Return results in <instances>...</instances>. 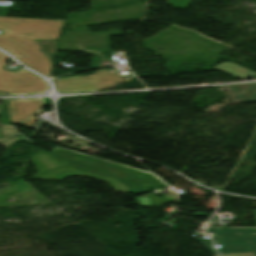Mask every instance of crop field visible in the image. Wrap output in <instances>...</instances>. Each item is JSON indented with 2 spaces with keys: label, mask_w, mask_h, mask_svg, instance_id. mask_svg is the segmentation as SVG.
Segmentation results:
<instances>
[{
  "label": "crop field",
  "mask_w": 256,
  "mask_h": 256,
  "mask_svg": "<svg viewBox=\"0 0 256 256\" xmlns=\"http://www.w3.org/2000/svg\"><path fill=\"white\" fill-rule=\"evenodd\" d=\"M231 87L239 103L256 102V83Z\"/></svg>",
  "instance_id": "obj_9"
},
{
  "label": "crop field",
  "mask_w": 256,
  "mask_h": 256,
  "mask_svg": "<svg viewBox=\"0 0 256 256\" xmlns=\"http://www.w3.org/2000/svg\"><path fill=\"white\" fill-rule=\"evenodd\" d=\"M55 87L60 93L95 91L115 88L116 84L124 83L116 73H110L109 69L100 70L93 75L55 80Z\"/></svg>",
  "instance_id": "obj_6"
},
{
  "label": "crop field",
  "mask_w": 256,
  "mask_h": 256,
  "mask_svg": "<svg viewBox=\"0 0 256 256\" xmlns=\"http://www.w3.org/2000/svg\"><path fill=\"white\" fill-rule=\"evenodd\" d=\"M9 58L0 52V91L10 94L21 89H29L48 84L47 81L22 68V70L16 73L2 70ZM48 89L49 85H46L13 94H40L46 93Z\"/></svg>",
  "instance_id": "obj_5"
},
{
  "label": "crop field",
  "mask_w": 256,
  "mask_h": 256,
  "mask_svg": "<svg viewBox=\"0 0 256 256\" xmlns=\"http://www.w3.org/2000/svg\"><path fill=\"white\" fill-rule=\"evenodd\" d=\"M3 117L0 119L1 123L10 124L6 119V100H1V115Z\"/></svg>",
  "instance_id": "obj_16"
},
{
  "label": "crop field",
  "mask_w": 256,
  "mask_h": 256,
  "mask_svg": "<svg viewBox=\"0 0 256 256\" xmlns=\"http://www.w3.org/2000/svg\"><path fill=\"white\" fill-rule=\"evenodd\" d=\"M173 198H175V200H173ZM136 199L141 206L161 207L164 203L176 202V195H163V197H158L154 194H150L143 197H137Z\"/></svg>",
  "instance_id": "obj_11"
},
{
  "label": "crop field",
  "mask_w": 256,
  "mask_h": 256,
  "mask_svg": "<svg viewBox=\"0 0 256 256\" xmlns=\"http://www.w3.org/2000/svg\"><path fill=\"white\" fill-rule=\"evenodd\" d=\"M60 32L61 30L16 36L0 35V48L48 78L52 64L45 60L44 53L37 50V40L59 39Z\"/></svg>",
  "instance_id": "obj_2"
},
{
  "label": "crop field",
  "mask_w": 256,
  "mask_h": 256,
  "mask_svg": "<svg viewBox=\"0 0 256 256\" xmlns=\"http://www.w3.org/2000/svg\"><path fill=\"white\" fill-rule=\"evenodd\" d=\"M201 245H203L212 255L218 256L217 252L212 248V241L204 238L193 237Z\"/></svg>",
  "instance_id": "obj_15"
},
{
  "label": "crop field",
  "mask_w": 256,
  "mask_h": 256,
  "mask_svg": "<svg viewBox=\"0 0 256 256\" xmlns=\"http://www.w3.org/2000/svg\"><path fill=\"white\" fill-rule=\"evenodd\" d=\"M3 127H12L11 125L2 124Z\"/></svg>",
  "instance_id": "obj_21"
},
{
  "label": "crop field",
  "mask_w": 256,
  "mask_h": 256,
  "mask_svg": "<svg viewBox=\"0 0 256 256\" xmlns=\"http://www.w3.org/2000/svg\"><path fill=\"white\" fill-rule=\"evenodd\" d=\"M6 135V140L0 141V145L4 148L10 147L16 141H18L20 135L15 128L3 129Z\"/></svg>",
  "instance_id": "obj_13"
},
{
  "label": "crop field",
  "mask_w": 256,
  "mask_h": 256,
  "mask_svg": "<svg viewBox=\"0 0 256 256\" xmlns=\"http://www.w3.org/2000/svg\"><path fill=\"white\" fill-rule=\"evenodd\" d=\"M215 68L218 70H221L223 72H226L228 74H231L233 76H236L240 79H247L256 74L253 71H250L246 68H243L241 66H238V65H236L234 63H230V62H224V63L216 66Z\"/></svg>",
  "instance_id": "obj_10"
},
{
  "label": "crop field",
  "mask_w": 256,
  "mask_h": 256,
  "mask_svg": "<svg viewBox=\"0 0 256 256\" xmlns=\"http://www.w3.org/2000/svg\"><path fill=\"white\" fill-rule=\"evenodd\" d=\"M0 95H1V93H0Z\"/></svg>",
  "instance_id": "obj_23"
},
{
  "label": "crop field",
  "mask_w": 256,
  "mask_h": 256,
  "mask_svg": "<svg viewBox=\"0 0 256 256\" xmlns=\"http://www.w3.org/2000/svg\"><path fill=\"white\" fill-rule=\"evenodd\" d=\"M254 79H256V76L255 77H253Z\"/></svg>",
  "instance_id": "obj_22"
},
{
  "label": "crop field",
  "mask_w": 256,
  "mask_h": 256,
  "mask_svg": "<svg viewBox=\"0 0 256 256\" xmlns=\"http://www.w3.org/2000/svg\"><path fill=\"white\" fill-rule=\"evenodd\" d=\"M38 172L31 179L63 180L67 177L86 176L108 182L116 192H131V186L113 178L103 171L66 161L44 151L32 158Z\"/></svg>",
  "instance_id": "obj_1"
},
{
  "label": "crop field",
  "mask_w": 256,
  "mask_h": 256,
  "mask_svg": "<svg viewBox=\"0 0 256 256\" xmlns=\"http://www.w3.org/2000/svg\"><path fill=\"white\" fill-rule=\"evenodd\" d=\"M56 30V29H53ZM38 31H45V30H38ZM32 32H36V31H30V32H26V33H18V34H27V33H32ZM7 35H16V34H7Z\"/></svg>",
  "instance_id": "obj_19"
},
{
  "label": "crop field",
  "mask_w": 256,
  "mask_h": 256,
  "mask_svg": "<svg viewBox=\"0 0 256 256\" xmlns=\"http://www.w3.org/2000/svg\"><path fill=\"white\" fill-rule=\"evenodd\" d=\"M134 187L135 193L147 192L148 188L166 185L162 181H124Z\"/></svg>",
  "instance_id": "obj_12"
},
{
  "label": "crop field",
  "mask_w": 256,
  "mask_h": 256,
  "mask_svg": "<svg viewBox=\"0 0 256 256\" xmlns=\"http://www.w3.org/2000/svg\"><path fill=\"white\" fill-rule=\"evenodd\" d=\"M222 256H254L253 253H245V254H229V255H222Z\"/></svg>",
  "instance_id": "obj_18"
},
{
  "label": "crop field",
  "mask_w": 256,
  "mask_h": 256,
  "mask_svg": "<svg viewBox=\"0 0 256 256\" xmlns=\"http://www.w3.org/2000/svg\"><path fill=\"white\" fill-rule=\"evenodd\" d=\"M14 18H2L0 17V24L11 25Z\"/></svg>",
  "instance_id": "obj_17"
},
{
  "label": "crop field",
  "mask_w": 256,
  "mask_h": 256,
  "mask_svg": "<svg viewBox=\"0 0 256 256\" xmlns=\"http://www.w3.org/2000/svg\"><path fill=\"white\" fill-rule=\"evenodd\" d=\"M2 139H3V135H2V132L0 130V140H2Z\"/></svg>",
  "instance_id": "obj_20"
},
{
  "label": "crop field",
  "mask_w": 256,
  "mask_h": 256,
  "mask_svg": "<svg viewBox=\"0 0 256 256\" xmlns=\"http://www.w3.org/2000/svg\"><path fill=\"white\" fill-rule=\"evenodd\" d=\"M45 98L9 100L8 116L12 123L23 124L42 111Z\"/></svg>",
  "instance_id": "obj_7"
},
{
  "label": "crop field",
  "mask_w": 256,
  "mask_h": 256,
  "mask_svg": "<svg viewBox=\"0 0 256 256\" xmlns=\"http://www.w3.org/2000/svg\"><path fill=\"white\" fill-rule=\"evenodd\" d=\"M51 153L80 164L105 170L119 179H158L148 172L59 147H56Z\"/></svg>",
  "instance_id": "obj_4"
},
{
  "label": "crop field",
  "mask_w": 256,
  "mask_h": 256,
  "mask_svg": "<svg viewBox=\"0 0 256 256\" xmlns=\"http://www.w3.org/2000/svg\"><path fill=\"white\" fill-rule=\"evenodd\" d=\"M252 211L256 220V210ZM216 226V223H212L206 231L216 233L213 239H219V243L222 244V248L219 249L221 254L253 252L256 256V228Z\"/></svg>",
  "instance_id": "obj_3"
},
{
  "label": "crop field",
  "mask_w": 256,
  "mask_h": 256,
  "mask_svg": "<svg viewBox=\"0 0 256 256\" xmlns=\"http://www.w3.org/2000/svg\"><path fill=\"white\" fill-rule=\"evenodd\" d=\"M54 45L52 41H38V49H41L42 52H45L47 60L50 61V55L53 53Z\"/></svg>",
  "instance_id": "obj_14"
},
{
  "label": "crop field",
  "mask_w": 256,
  "mask_h": 256,
  "mask_svg": "<svg viewBox=\"0 0 256 256\" xmlns=\"http://www.w3.org/2000/svg\"><path fill=\"white\" fill-rule=\"evenodd\" d=\"M64 21L15 18L11 26L0 25L3 33H18L37 29L62 28Z\"/></svg>",
  "instance_id": "obj_8"
}]
</instances>
